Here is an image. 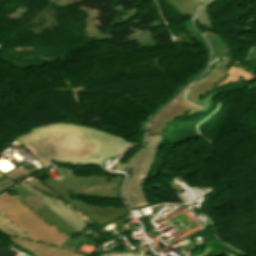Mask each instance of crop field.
<instances>
[{
    "label": "crop field",
    "instance_id": "8a807250",
    "mask_svg": "<svg viewBox=\"0 0 256 256\" xmlns=\"http://www.w3.org/2000/svg\"><path fill=\"white\" fill-rule=\"evenodd\" d=\"M5 214L32 238L60 245L65 237L56 232L16 198L7 193L0 197Z\"/></svg>",
    "mask_w": 256,
    "mask_h": 256
},
{
    "label": "crop field",
    "instance_id": "ac0d7876",
    "mask_svg": "<svg viewBox=\"0 0 256 256\" xmlns=\"http://www.w3.org/2000/svg\"><path fill=\"white\" fill-rule=\"evenodd\" d=\"M160 139L161 135L147 136L146 147L131 162L132 175L123 189L124 201L128 207L148 204L142 184L153 166L156 145Z\"/></svg>",
    "mask_w": 256,
    "mask_h": 256
},
{
    "label": "crop field",
    "instance_id": "34b2d1b8",
    "mask_svg": "<svg viewBox=\"0 0 256 256\" xmlns=\"http://www.w3.org/2000/svg\"><path fill=\"white\" fill-rule=\"evenodd\" d=\"M27 190L31 191L38 199H40L46 206L52 209L56 214H58L64 221H66L72 228L79 232L83 227V219L80 215L73 212L71 209L45 197L42 196L25 184H20Z\"/></svg>",
    "mask_w": 256,
    "mask_h": 256
},
{
    "label": "crop field",
    "instance_id": "412701ff",
    "mask_svg": "<svg viewBox=\"0 0 256 256\" xmlns=\"http://www.w3.org/2000/svg\"><path fill=\"white\" fill-rule=\"evenodd\" d=\"M0 230L3 232L14 233L19 235H24L21 231H19L16 227H14L11 223H9L0 212ZM25 236V235H24Z\"/></svg>",
    "mask_w": 256,
    "mask_h": 256
},
{
    "label": "crop field",
    "instance_id": "f4fd0767",
    "mask_svg": "<svg viewBox=\"0 0 256 256\" xmlns=\"http://www.w3.org/2000/svg\"><path fill=\"white\" fill-rule=\"evenodd\" d=\"M211 0H204L201 8L196 16V21L199 22L200 24L204 25L207 28H210V25L208 23V20L206 18V15L204 13V8L207 6V4L210 2Z\"/></svg>",
    "mask_w": 256,
    "mask_h": 256
}]
</instances>
